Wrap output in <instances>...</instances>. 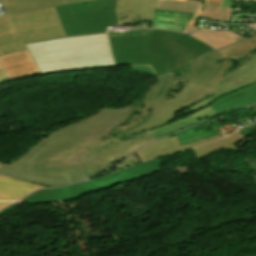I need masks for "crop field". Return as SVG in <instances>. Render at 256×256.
<instances>
[{"label": "crop field", "instance_id": "eef30255", "mask_svg": "<svg viewBox=\"0 0 256 256\" xmlns=\"http://www.w3.org/2000/svg\"><path fill=\"white\" fill-rule=\"evenodd\" d=\"M10 203H12V202H0V208L4 207Z\"/></svg>", "mask_w": 256, "mask_h": 256}, {"label": "crop field", "instance_id": "412701ff", "mask_svg": "<svg viewBox=\"0 0 256 256\" xmlns=\"http://www.w3.org/2000/svg\"><path fill=\"white\" fill-rule=\"evenodd\" d=\"M62 37L54 7L0 17V55L26 50L23 43Z\"/></svg>", "mask_w": 256, "mask_h": 256}, {"label": "crop field", "instance_id": "92a150f3", "mask_svg": "<svg viewBox=\"0 0 256 256\" xmlns=\"http://www.w3.org/2000/svg\"><path fill=\"white\" fill-rule=\"evenodd\" d=\"M160 171H161V169L152 170V171L140 174V175L133 176V177L128 178L126 180L116 182L114 184H111V185H108V186H105V187H101V188H98V189L87 191L85 193H82V194L77 195V196H73L71 198H63V199H57V200H51V201H45V202H28V204L38 205V204H47V203H54V202H59V201H68V200L77 199V198H80V197H82V196H84V195H86L88 193L97 192V191H101V190H104V189H108V188H111V187H114V186H117V185H121V184L130 182V181H133V180H136V179H139V178H142V177H145V176H148V175L160 172Z\"/></svg>", "mask_w": 256, "mask_h": 256}, {"label": "crop field", "instance_id": "5142ce71", "mask_svg": "<svg viewBox=\"0 0 256 256\" xmlns=\"http://www.w3.org/2000/svg\"><path fill=\"white\" fill-rule=\"evenodd\" d=\"M45 187L0 176V201L18 200L37 188Z\"/></svg>", "mask_w": 256, "mask_h": 256}, {"label": "crop field", "instance_id": "00972430", "mask_svg": "<svg viewBox=\"0 0 256 256\" xmlns=\"http://www.w3.org/2000/svg\"><path fill=\"white\" fill-rule=\"evenodd\" d=\"M151 30H132L130 32L127 33H113V32H109V37L112 36H127V35H147L150 34Z\"/></svg>", "mask_w": 256, "mask_h": 256}, {"label": "crop field", "instance_id": "d8731c3e", "mask_svg": "<svg viewBox=\"0 0 256 256\" xmlns=\"http://www.w3.org/2000/svg\"><path fill=\"white\" fill-rule=\"evenodd\" d=\"M200 3L195 0H158L156 8L166 10H176L195 13L184 32H201L211 29L195 27L198 17L231 21L234 1L232 0H203Z\"/></svg>", "mask_w": 256, "mask_h": 256}, {"label": "crop field", "instance_id": "214f88e0", "mask_svg": "<svg viewBox=\"0 0 256 256\" xmlns=\"http://www.w3.org/2000/svg\"><path fill=\"white\" fill-rule=\"evenodd\" d=\"M193 14L176 12V11H166L156 9L154 15V21L160 23H175L181 25H187Z\"/></svg>", "mask_w": 256, "mask_h": 256}, {"label": "crop field", "instance_id": "bd1437ed", "mask_svg": "<svg viewBox=\"0 0 256 256\" xmlns=\"http://www.w3.org/2000/svg\"><path fill=\"white\" fill-rule=\"evenodd\" d=\"M1 69H3V68H2L1 65H0V70H1Z\"/></svg>", "mask_w": 256, "mask_h": 256}, {"label": "crop field", "instance_id": "ae1a2a85", "mask_svg": "<svg viewBox=\"0 0 256 256\" xmlns=\"http://www.w3.org/2000/svg\"><path fill=\"white\" fill-rule=\"evenodd\" d=\"M32 74H40V73H39V72H37V73H32ZM32 74H27V75H32ZM21 76H24V75L10 77L9 79L16 78V77H21Z\"/></svg>", "mask_w": 256, "mask_h": 256}, {"label": "crop field", "instance_id": "8a807250", "mask_svg": "<svg viewBox=\"0 0 256 256\" xmlns=\"http://www.w3.org/2000/svg\"><path fill=\"white\" fill-rule=\"evenodd\" d=\"M133 104L124 109L100 112L38 140L18 160L2 164L0 174L50 187L80 182L110 167L154 140L145 132L123 143L118 138L100 141L130 116Z\"/></svg>", "mask_w": 256, "mask_h": 256}, {"label": "crop field", "instance_id": "730fd06b", "mask_svg": "<svg viewBox=\"0 0 256 256\" xmlns=\"http://www.w3.org/2000/svg\"><path fill=\"white\" fill-rule=\"evenodd\" d=\"M5 81H8V78H7L4 70H1L0 71V83L5 82Z\"/></svg>", "mask_w": 256, "mask_h": 256}, {"label": "crop field", "instance_id": "a9b5d70f", "mask_svg": "<svg viewBox=\"0 0 256 256\" xmlns=\"http://www.w3.org/2000/svg\"><path fill=\"white\" fill-rule=\"evenodd\" d=\"M132 72H143L152 76H156L149 66H132Z\"/></svg>", "mask_w": 256, "mask_h": 256}, {"label": "crop field", "instance_id": "22f410ed", "mask_svg": "<svg viewBox=\"0 0 256 256\" xmlns=\"http://www.w3.org/2000/svg\"><path fill=\"white\" fill-rule=\"evenodd\" d=\"M219 138H220L219 136L210 137V138L202 139L197 142H194V143H191L188 145H184V146H181L178 138L161 140V141H157V142L143 148L142 150H140L139 152H137L135 154L138 157V159L140 160V162H142L144 160H147V159H150L153 157L169 154V153L179 151V150L189 149V148H192V147L198 146L200 144L207 143L212 140L219 139Z\"/></svg>", "mask_w": 256, "mask_h": 256}, {"label": "crop field", "instance_id": "bc2a9ffb", "mask_svg": "<svg viewBox=\"0 0 256 256\" xmlns=\"http://www.w3.org/2000/svg\"><path fill=\"white\" fill-rule=\"evenodd\" d=\"M243 138H244L243 136H241L239 133L235 132V133L225 136L217 141L208 143L203 146L196 147L193 150H194L197 160H199V159L215 152L216 150H218L222 147H224V148L229 147V146L233 145L234 143L240 141Z\"/></svg>", "mask_w": 256, "mask_h": 256}, {"label": "crop field", "instance_id": "4177f3b9", "mask_svg": "<svg viewBox=\"0 0 256 256\" xmlns=\"http://www.w3.org/2000/svg\"><path fill=\"white\" fill-rule=\"evenodd\" d=\"M244 164H246L249 168L256 171V157L253 158H245Z\"/></svg>", "mask_w": 256, "mask_h": 256}, {"label": "crop field", "instance_id": "28ad6ade", "mask_svg": "<svg viewBox=\"0 0 256 256\" xmlns=\"http://www.w3.org/2000/svg\"><path fill=\"white\" fill-rule=\"evenodd\" d=\"M156 0H117V18L119 26L130 25L133 28H150Z\"/></svg>", "mask_w": 256, "mask_h": 256}, {"label": "crop field", "instance_id": "dafd665d", "mask_svg": "<svg viewBox=\"0 0 256 256\" xmlns=\"http://www.w3.org/2000/svg\"><path fill=\"white\" fill-rule=\"evenodd\" d=\"M151 28H159V29H167V30H174V31L183 32L185 26L174 25V24H160V23H154L153 22Z\"/></svg>", "mask_w": 256, "mask_h": 256}, {"label": "crop field", "instance_id": "cbeb9de0", "mask_svg": "<svg viewBox=\"0 0 256 256\" xmlns=\"http://www.w3.org/2000/svg\"><path fill=\"white\" fill-rule=\"evenodd\" d=\"M216 114L213 112V110L208 106L198 112H195L187 117L180 118L179 120L166 125L164 127H161L159 129L153 130L151 132H148L152 138L156 139L160 136L168 135L177 131H180L182 129H185L191 125H199L204 124L212 119L209 117L215 116Z\"/></svg>", "mask_w": 256, "mask_h": 256}, {"label": "crop field", "instance_id": "d9b57169", "mask_svg": "<svg viewBox=\"0 0 256 256\" xmlns=\"http://www.w3.org/2000/svg\"><path fill=\"white\" fill-rule=\"evenodd\" d=\"M0 61L8 77L38 71L28 51L0 57Z\"/></svg>", "mask_w": 256, "mask_h": 256}, {"label": "crop field", "instance_id": "3316defc", "mask_svg": "<svg viewBox=\"0 0 256 256\" xmlns=\"http://www.w3.org/2000/svg\"><path fill=\"white\" fill-rule=\"evenodd\" d=\"M254 82H256V64L250 60L241 68L235 67V69L227 76L225 81L213 89L219 93L214 94L204 101L188 108L182 113V117L211 104L213 101L227 93L252 85Z\"/></svg>", "mask_w": 256, "mask_h": 256}, {"label": "crop field", "instance_id": "f4fd0767", "mask_svg": "<svg viewBox=\"0 0 256 256\" xmlns=\"http://www.w3.org/2000/svg\"><path fill=\"white\" fill-rule=\"evenodd\" d=\"M116 0H92L56 7L67 36L105 32L118 25Z\"/></svg>", "mask_w": 256, "mask_h": 256}, {"label": "crop field", "instance_id": "d3111659", "mask_svg": "<svg viewBox=\"0 0 256 256\" xmlns=\"http://www.w3.org/2000/svg\"><path fill=\"white\" fill-rule=\"evenodd\" d=\"M74 1H82V0H67L68 3L74 2Z\"/></svg>", "mask_w": 256, "mask_h": 256}, {"label": "crop field", "instance_id": "dd49c442", "mask_svg": "<svg viewBox=\"0 0 256 256\" xmlns=\"http://www.w3.org/2000/svg\"><path fill=\"white\" fill-rule=\"evenodd\" d=\"M213 50L187 34L151 31L150 54L165 57L169 61L170 72L189 65L203 54Z\"/></svg>", "mask_w": 256, "mask_h": 256}, {"label": "crop field", "instance_id": "e52e79f7", "mask_svg": "<svg viewBox=\"0 0 256 256\" xmlns=\"http://www.w3.org/2000/svg\"><path fill=\"white\" fill-rule=\"evenodd\" d=\"M148 36L112 37L110 43L117 65H150L158 76L169 73L165 58L149 55Z\"/></svg>", "mask_w": 256, "mask_h": 256}, {"label": "crop field", "instance_id": "5a996713", "mask_svg": "<svg viewBox=\"0 0 256 256\" xmlns=\"http://www.w3.org/2000/svg\"><path fill=\"white\" fill-rule=\"evenodd\" d=\"M162 160L154 159L150 161L143 162L141 164L135 165L133 167L127 168L125 170L119 171L117 173L95 179L92 181L80 183L73 186L62 187L54 190H39L30 196L24 198L25 201H45L63 197H71L76 194H80L86 190L98 188L111 184L113 182L126 179L136 174H140L152 169L160 168L159 165Z\"/></svg>", "mask_w": 256, "mask_h": 256}, {"label": "crop field", "instance_id": "d1516ede", "mask_svg": "<svg viewBox=\"0 0 256 256\" xmlns=\"http://www.w3.org/2000/svg\"><path fill=\"white\" fill-rule=\"evenodd\" d=\"M256 103V83L225 95L209 105L217 115Z\"/></svg>", "mask_w": 256, "mask_h": 256}, {"label": "crop field", "instance_id": "733c2abd", "mask_svg": "<svg viewBox=\"0 0 256 256\" xmlns=\"http://www.w3.org/2000/svg\"><path fill=\"white\" fill-rule=\"evenodd\" d=\"M191 36L208 44L214 49L225 47L236 41L242 40L241 37L229 31L199 33V34H192Z\"/></svg>", "mask_w": 256, "mask_h": 256}, {"label": "crop field", "instance_id": "4a817a6b", "mask_svg": "<svg viewBox=\"0 0 256 256\" xmlns=\"http://www.w3.org/2000/svg\"><path fill=\"white\" fill-rule=\"evenodd\" d=\"M7 13L67 3L66 0H0Z\"/></svg>", "mask_w": 256, "mask_h": 256}, {"label": "crop field", "instance_id": "ac0d7876", "mask_svg": "<svg viewBox=\"0 0 256 256\" xmlns=\"http://www.w3.org/2000/svg\"><path fill=\"white\" fill-rule=\"evenodd\" d=\"M256 58V36L237 42L222 50L211 52L198 59L179 79L171 74L160 77L146 93L145 99L138 100L127 125L118 126L102 141L114 136L123 142L136 136L135 133L152 129L174 119V113L181 106L188 107L216 93L211 90L219 85L230 71L234 62L241 67ZM187 107V108H188Z\"/></svg>", "mask_w": 256, "mask_h": 256}, {"label": "crop field", "instance_id": "1d83c4d3", "mask_svg": "<svg viewBox=\"0 0 256 256\" xmlns=\"http://www.w3.org/2000/svg\"><path fill=\"white\" fill-rule=\"evenodd\" d=\"M252 1H256V0H252Z\"/></svg>", "mask_w": 256, "mask_h": 256}, {"label": "crop field", "instance_id": "750c4746", "mask_svg": "<svg viewBox=\"0 0 256 256\" xmlns=\"http://www.w3.org/2000/svg\"><path fill=\"white\" fill-rule=\"evenodd\" d=\"M252 61H254L255 63H256V59L254 58V59H252Z\"/></svg>", "mask_w": 256, "mask_h": 256}, {"label": "crop field", "instance_id": "34b2d1b8", "mask_svg": "<svg viewBox=\"0 0 256 256\" xmlns=\"http://www.w3.org/2000/svg\"><path fill=\"white\" fill-rule=\"evenodd\" d=\"M26 47L41 74L115 66L107 33L36 42Z\"/></svg>", "mask_w": 256, "mask_h": 256}]
</instances>
